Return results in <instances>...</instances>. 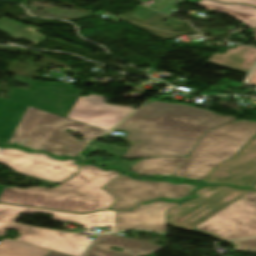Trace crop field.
Wrapping results in <instances>:
<instances>
[{"instance_id": "crop-field-1", "label": "crop field", "mask_w": 256, "mask_h": 256, "mask_svg": "<svg viewBox=\"0 0 256 256\" xmlns=\"http://www.w3.org/2000/svg\"><path fill=\"white\" fill-rule=\"evenodd\" d=\"M235 120L188 105L154 101L116 128L129 131V141L141 140L129 148L124 158L188 157L205 131Z\"/></svg>"}, {"instance_id": "crop-field-2", "label": "crop field", "mask_w": 256, "mask_h": 256, "mask_svg": "<svg viewBox=\"0 0 256 256\" xmlns=\"http://www.w3.org/2000/svg\"><path fill=\"white\" fill-rule=\"evenodd\" d=\"M120 174L117 171H103L92 165H84L75 177L53 189L3 188L0 202L78 213L108 209L115 197L101 187Z\"/></svg>"}, {"instance_id": "crop-field-3", "label": "crop field", "mask_w": 256, "mask_h": 256, "mask_svg": "<svg viewBox=\"0 0 256 256\" xmlns=\"http://www.w3.org/2000/svg\"><path fill=\"white\" fill-rule=\"evenodd\" d=\"M256 135V123L238 121L206 132L185 162L183 157H159L144 159L130 170L143 175H174L204 180L218 164L232 158Z\"/></svg>"}, {"instance_id": "crop-field-4", "label": "crop field", "mask_w": 256, "mask_h": 256, "mask_svg": "<svg viewBox=\"0 0 256 256\" xmlns=\"http://www.w3.org/2000/svg\"><path fill=\"white\" fill-rule=\"evenodd\" d=\"M38 212L53 215V221L74 222L85 226L84 228L89 230H92L93 226H112L111 232H115L116 211L79 215L0 204V236L4 237L5 229H15L20 232V237L15 239L16 241L56 250L72 256H82L84 254L86 248L91 244L86 242L87 237L85 236L14 223L19 213L31 214Z\"/></svg>"}, {"instance_id": "crop-field-5", "label": "crop field", "mask_w": 256, "mask_h": 256, "mask_svg": "<svg viewBox=\"0 0 256 256\" xmlns=\"http://www.w3.org/2000/svg\"><path fill=\"white\" fill-rule=\"evenodd\" d=\"M83 135L85 142L74 140L66 129ZM106 131L73 121L36 108L27 107L18 127L8 143L22 145L33 150H45L57 156H77V151L85 146L89 139L102 135ZM66 146V149H62Z\"/></svg>"}, {"instance_id": "crop-field-6", "label": "crop field", "mask_w": 256, "mask_h": 256, "mask_svg": "<svg viewBox=\"0 0 256 256\" xmlns=\"http://www.w3.org/2000/svg\"><path fill=\"white\" fill-rule=\"evenodd\" d=\"M246 192L226 186L202 188L196 192L197 198L167 210L166 223L191 230Z\"/></svg>"}, {"instance_id": "crop-field-7", "label": "crop field", "mask_w": 256, "mask_h": 256, "mask_svg": "<svg viewBox=\"0 0 256 256\" xmlns=\"http://www.w3.org/2000/svg\"><path fill=\"white\" fill-rule=\"evenodd\" d=\"M197 186L186 183L174 185L169 182L136 181L121 174L102 188L116 197L109 209L131 210L139 203L160 197L174 199L185 197Z\"/></svg>"}, {"instance_id": "crop-field-8", "label": "crop field", "mask_w": 256, "mask_h": 256, "mask_svg": "<svg viewBox=\"0 0 256 256\" xmlns=\"http://www.w3.org/2000/svg\"><path fill=\"white\" fill-rule=\"evenodd\" d=\"M191 231L220 241L256 236V202L239 199Z\"/></svg>"}, {"instance_id": "crop-field-9", "label": "crop field", "mask_w": 256, "mask_h": 256, "mask_svg": "<svg viewBox=\"0 0 256 256\" xmlns=\"http://www.w3.org/2000/svg\"><path fill=\"white\" fill-rule=\"evenodd\" d=\"M76 160H55L44 153L29 154L12 148L0 150V163L11 167L14 171L36 178L61 182L74 175L79 167L71 164Z\"/></svg>"}, {"instance_id": "crop-field-10", "label": "crop field", "mask_w": 256, "mask_h": 256, "mask_svg": "<svg viewBox=\"0 0 256 256\" xmlns=\"http://www.w3.org/2000/svg\"><path fill=\"white\" fill-rule=\"evenodd\" d=\"M15 80L31 84L28 90L9 89V99L65 117L80 94L75 87L62 84L33 82V79L15 76Z\"/></svg>"}, {"instance_id": "crop-field-11", "label": "crop field", "mask_w": 256, "mask_h": 256, "mask_svg": "<svg viewBox=\"0 0 256 256\" xmlns=\"http://www.w3.org/2000/svg\"><path fill=\"white\" fill-rule=\"evenodd\" d=\"M102 97L94 94L79 97L67 118L109 131L133 111L132 107L107 104Z\"/></svg>"}, {"instance_id": "crop-field-12", "label": "crop field", "mask_w": 256, "mask_h": 256, "mask_svg": "<svg viewBox=\"0 0 256 256\" xmlns=\"http://www.w3.org/2000/svg\"><path fill=\"white\" fill-rule=\"evenodd\" d=\"M203 182L252 187L256 182V136L232 159L215 167Z\"/></svg>"}, {"instance_id": "crop-field-13", "label": "crop field", "mask_w": 256, "mask_h": 256, "mask_svg": "<svg viewBox=\"0 0 256 256\" xmlns=\"http://www.w3.org/2000/svg\"><path fill=\"white\" fill-rule=\"evenodd\" d=\"M178 203L163 200L149 205H140L133 211L117 212V231L123 229H145L165 232V211Z\"/></svg>"}, {"instance_id": "crop-field-14", "label": "crop field", "mask_w": 256, "mask_h": 256, "mask_svg": "<svg viewBox=\"0 0 256 256\" xmlns=\"http://www.w3.org/2000/svg\"><path fill=\"white\" fill-rule=\"evenodd\" d=\"M111 246L124 249L121 253L109 249ZM163 247L124 237L102 235L85 256H139L147 255Z\"/></svg>"}, {"instance_id": "crop-field-15", "label": "crop field", "mask_w": 256, "mask_h": 256, "mask_svg": "<svg viewBox=\"0 0 256 256\" xmlns=\"http://www.w3.org/2000/svg\"><path fill=\"white\" fill-rule=\"evenodd\" d=\"M207 63L249 73L256 63V49L240 45L224 54L215 53Z\"/></svg>"}, {"instance_id": "crop-field-16", "label": "crop field", "mask_w": 256, "mask_h": 256, "mask_svg": "<svg viewBox=\"0 0 256 256\" xmlns=\"http://www.w3.org/2000/svg\"><path fill=\"white\" fill-rule=\"evenodd\" d=\"M27 106L0 99V142H7L18 125Z\"/></svg>"}, {"instance_id": "crop-field-17", "label": "crop field", "mask_w": 256, "mask_h": 256, "mask_svg": "<svg viewBox=\"0 0 256 256\" xmlns=\"http://www.w3.org/2000/svg\"><path fill=\"white\" fill-rule=\"evenodd\" d=\"M196 4L214 11L225 13L252 29L256 27V9L253 7L246 5H226L210 0H201Z\"/></svg>"}, {"instance_id": "crop-field-18", "label": "crop field", "mask_w": 256, "mask_h": 256, "mask_svg": "<svg viewBox=\"0 0 256 256\" xmlns=\"http://www.w3.org/2000/svg\"><path fill=\"white\" fill-rule=\"evenodd\" d=\"M50 251L10 239L0 241V256H45Z\"/></svg>"}, {"instance_id": "crop-field-19", "label": "crop field", "mask_w": 256, "mask_h": 256, "mask_svg": "<svg viewBox=\"0 0 256 256\" xmlns=\"http://www.w3.org/2000/svg\"><path fill=\"white\" fill-rule=\"evenodd\" d=\"M95 150H100L107 154H112L117 157H123L128 149H118L116 147L105 146V145H98L94 141H91L88 148L85 150L84 155L94 153Z\"/></svg>"}, {"instance_id": "crop-field-20", "label": "crop field", "mask_w": 256, "mask_h": 256, "mask_svg": "<svg viewBox=\"0 0 256 256\" xmlns=\"http://www.w3.org/2000/svg\"><path fill=\"white\" fill-rule=\"evenodd\" d=\"M232 243L237 245L234 247V250L256 252V238L250 240L233 241Z\"/></svg>"}, {"instance_id": "crop-field-21", "label": "crop field", "mask_w": 256, "mask_h": 256, "mask_svg": "<svg viewBox=\"0 0 256 256\" xmlns=\"http://www.w3.org/2000/svg\"><path fill=\"white\" fill-rule=\"evenodd\" d=\"M156 12L152 11L149 8L143 7V6H139L137 7V9L134 12V16L144 20L148 17H150L151 15L155 14Z\"/></svg>"}, {"instance_id": "crop-field-22", "label": "crop field", "mask_w": 256, "mask_h": 256, "mask_svg": "<svg viewBox=\"0 0 256 256\" xmlns=\"http://www.w3.org/2000/svg\"><path fill=\"white\" fill-rule=\"evenodd\" d=\"M223 3H246L256 7V0H215Z\"/></svg>"}, {"instance_id": "crop-field-23", "label": "crop field", "mask_w": 256, "mask_h": 256, "mask_svg": "<svg viewBox=\"0 0 256 256\" xmlns=\"http://www.w3.org/2000/svg\"><path fill=\"white\" fill-rule=\"evenodd\" d=\"M166 1L167 0H156L155 3L152 6H150V8L158 11L163 7V5L166 3Z\"/></svg>"}, {"instance_id": "crop-field-24", "label": "crop field", "mask_w": 256, "mask_h": 256, "mask_svg": "<svg viewBox=\"0 0 256 256\" xmlns=\"http://www.w3.org/2000/svg\"><path fill=\"white\" fill-rule=\"evenodd\" d=\"M242 198L247 199V200L256 201V192L250 191V192L246 193Z\"/></svg>"}, {"instance_id": "crop-field-25", "label": "crop field", "mask_w": 256, "mask_h": 256, "mask_svg": "<svg viewBox=\"0 0 256 256\" xmlns=\"http://www.w3.org/2000/svg\"><path fill=\"white\" fill-rule=\"evenodd\" d=\"M249 83L252 85L256 84V71L252 74V76L249 78Z\"/></svg>"}, {"instance_id": "crop-field-26", "label": "crop field", "mask_w": 256, "mask_h": 256, "mask_svg": "<svg viewBox=\"0 0 256 256\" xmlns=\"http://www.w3.org/2000/svg\"><path fill=\"white\" fill-rule=\"evenodd\" d=\"M48 256H68V255L57 253V252H51Z\"/></svg>"}, {"instance_id": "crop-field-27", "label": "crop field", "mask_w": 256, "mask_h": 256, "mask_svg": "<svg viewBox=\"0 0 256 256\" xmlns=\"http://www.w3.org/2000/svg\"><path fill=\"white\" fill-rule=\"evenodd\" d=\"M253 33H254V37L253 38H255L256 39V28L255 29H253Z\"/></svg>"}, {"instance_id": "crop-field-28", "label": "crop field", "mask_w": 256, "mask_h": 256, "mask_svg": "<svg viewBox=\"0 0 256 256\" xmlns=\"http://www.w3.org/2000/svg\"><path fill=\"white\" fill-rule=\"evenodd\" d=\"M3 188L4 187L0 185V195H1L2 191H3Z\"/></svg>"}, {"instance_id": "crop-field-29", "label": "crop field", "mask_w": 256, "mask_h": 256, "mask_svg": "<svg viewBox=\"0 0 256 256\" xmlns=\"http://www.w3.org/2000/svg\"><path fill=\"white\" fill-rule=\"evenodd\" d=\"M254 190H256V186L254 187Z\"/></svg>"}, {"instance_id": "crop-field-30", "label": "crop field", "mask_w": 256, "mask_h": 256, "mask_svg": "<svg viewBox=\"0 0 256 256\" xmlns=\"http://www.w3.org/2000/svg\"><path fill=\"white\" fill-rule=\"evenodd\" d=\"M0 149H2V148L0 147Z\"/></svg>"}]
</instances>
